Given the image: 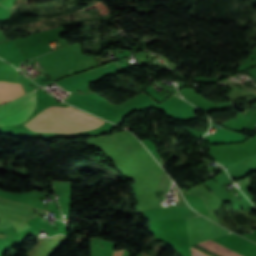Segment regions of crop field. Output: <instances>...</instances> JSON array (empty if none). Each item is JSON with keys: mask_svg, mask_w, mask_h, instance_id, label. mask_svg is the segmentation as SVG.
<instances>
[{"mask_svg": "<svg viewBox=\"0 0 256 256\" xmlns=\"http://www.w3.org/2000/svg\"><path fill=\"white\" fill-rule=\"evenodd\" d=\"M67 109L101 125L105 123V120L90 115L72 106ZM67 109L54 106L43 110L24 125L33 132L64 134H73L101 126L84 119Z\"/></svg>", "mask_w": 256, "mask_h": 256, "instance_id": "crop-field-1", "label": "crop field"}, {"mask_svg": "<svg viewBox=\"0 0 256 256\" xmlns=\"http://www.w3.org/2000/svg\"><path fill=\"white\" fill-rule=\"evenodd\" d=\"M34 90L0 106V125H16L27 120L34 108Z\"/></svg>", "mask_w": 256, "mask_h": 256, "instance_id": "crop-field-2", "label": "crop field"}, {"mask_svg": "<svg viewBox=\"0 0 256 256\" xmlns=\"http://www.w3.org/2000/svg\"><path fill=\"white\" fill-rule=\"evenodd\" d=\"M25 85V84H24ZM23 84H11L6 82H0V101L1 103L7 102L27 91H29L28 88H26ZM31 90V89H30Z\"/></svg>", "mask_w": 256, "mask_h": 256, "instance_id": "crop-field-3", "label": "crop field"}, {"mask_svg": "<svg viewBox=\"0 0 256 256\" xmlns=\"http://www.w3.org/2000/svg\"><path fill=\"white\" fill-rule=\"evenodd\" d=\"M199 245L221 255V256H241L211 240H208V241H205V242H201V243H198ZM190 250H191V256H208L192 247H190Z\"/></svg>", "mask_w": 256, "mask_h": 256, "instance_id": "crop-field-4", "label": "crop field"}, {"mask_svg": "<svg viewBox=\"0 0 256 256\" xmlns=\"http://www.w3.org/2000/svg\"><path fill=\"white\" fill-rule=\"evenodd\" d=\"M122 252H123V250L122 251H117V252L114 253L113 256H121Z\"/></svg>", "mask_w": 256, "mask_h": 256, "instance_id": "crop-field-5", "label": "crop field"}]
</instances>
